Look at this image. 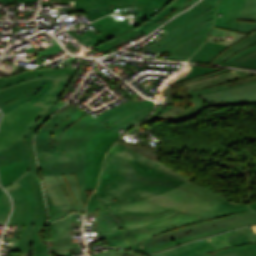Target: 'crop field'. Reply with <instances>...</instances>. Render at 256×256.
<instances>
[{
	"label": "crop field",
	"instance_id": "crop-field-38",
	"mask_svg": "<svg viewBox=\"0 0 256 256\" xmlns=\"http://www.w3.org/2000/svg\"><path fill=\"white\" fill-rule=\"evenodd\" d=\"M53 43L52 45L47 48L46 50H41V51H37L38 52V55L41 56V55H45V54H51V53H55L59 50H62V48L58 45V43L55 41V39H53Z\"/></svg>",
	"mask_w": 256,
	"mask_h": 256
},
{
	"label": "crop field",
	"instance_id": "crop-field-5",
	"mask_svg": "<svg viewBox=\"0 0 256 256\" xmlns=\"http://www.w3.org/2000/svg\"><path fill=\"white\" fill-rule=\"evenodd\" d=\"M217 0H201L190 10L178 15L161 29L167 31L147 49L164 53L184 37L212 26Z\"/></svg>",
	"mask_w": 256,
	"mask_h": 256
},
{
	"label": "crop field",
	"instance_id": "crop-field-50",
	"mask_svg": "<svg viewBox=\"0 0 256 256\" xmlns=\"http://www.w3.org/2000/svg\"><path fill=\"white\" fill-rule=\"evenodd\" d=\"M256 245V244H255Z\"/></svg>",
	"mask_w": 256,
	"mask_h": 256
},
{
	"label": "crop field",
	"instance_id": "crop-field-32",
	"mask_svg": "<svg viewBox=\"0 0 256 256\" xmlns=\"http://www.w3.org/2000/svg\"><path fill=\"white\" fill-rule=\"evenodd\" d=\"M68 12H76V11H84L85 14L88 16V18L92 21L98 17L104 16L106 14L114 12V9H107V10H102V11H97L90 13L89 10H81V9H67Z\"/></svg>",
	"mask_w": 256,
	"mask_h": 256
},
{
	"label": "crop field",
	"instance_id": "crop-field-6",
	"mask_svg": "<svg viewBox=\"0 0 256 256\" xmlns=\"http://www.w3.org/2000/svg\"><path fill=\"white\" fill-rule=\"evenodd\" d=\"M45 112L27 101L4 114L0 125V149L8 148L14 141L24 140L31 127Z\"/></svg>",
	"mask_w": 256,
	"mask_h": 256
},
{
	"label": "crop field",
	"instance_id": "crop-field-30",
	"mask_svg": "<svg viewBox=\"0 0 256 256\" xmlns=\"http://www.w3.org/2000/svg\"><path fill=\"white\" fill-rule=\"evenodd\" d=\"M207 35L208 34H205L186 42L181 47H179L176 51H174L172 54L192 56L195 53V51L199 48V46L203 43Z\"/></svg>",
	"mask_w": 256,
	"mask_h": 256
},
{
	"label": "crop field",
	"instance_id": "crop-field-33",
	"mask_svg": "<svg viewBox=\"0 0 256 256\" xmlns=\"http://www.w3.org/2000/svg\"><path fill=\"white\" fill-rule=\"evenodd\" d=\"M254 51H256V44L236 53L235 55L231 56L226 61H224L221 65L229 64V63L235 61L236 59L241 58V57H243L251 52H254Z\"/></svg>",
	"mask_w": 256,
	"mask_h": 256
},
{
	"label": "crop field",
	"instance_id": "crop-field-34",
	"mask_svg": "<svg viewBox=\"0 0 256 256\" xmlns=\"http://www.w3.org/2000/svg\"><path fill=\"white\" fill-rule=\"evenodd\" d=\"M226 66H234V67H241V68H250V69H256V56L252 57L242 63L233 62Z\"/></svg>",
	"mask_w": 256,
	"mask_h": 256
},
{
	"label": "crop field",
	"instance_id": "crop-field-20",
	"mask_svg": "<svg viewBox=\"0 0 256 256\" xmlns=\"http://www.w3.org/2000/svg\"><path fill=\"white\" fill-rule=\"evenodd\" d=\"M73 75L74 74L56 76L54 79V83L48 90L47 94L34 104L38 105L39 107L47 111L66 89Z\"/></svg>",
	"mask_w": 256,
	"mask_h": 256
},
{
	"label": "crop field",
	"instance_id": "crop-field-46",
	"mask_svg": "<svg viewBox=\"0 0 256 256\" xmlns=\"http://www.w3.org/2000/svg\"><path fill=\"white\" fill-rule=\"evenodd\" d=\"M148 256H165L163 252H160V253H155V254H151V255H148ZM198 256H212L210 253H205V254H201V255H198Z\"/></svg>",
	"mask_w": 256,
	"mask_h": 256
},
{
	"label": "crop field",
	"instance_id": "crop-field-10",
	"mask_svg": "<svg viewBox=\"0 0 256 256\" xmlns=\"http://www.w3.org/2000/svg\"><path fill=\"white\" fill-rule=\"evenodd\" d=\"M45 187L55 205H66L64 211H85L81 201L75 175L41 176Z\"/></svg>",
	"mask_w": 256,
	"mask_h": 256
},
{
	"label": "crop field",
	"instance_id": "crop-field-7",
	"mask_svg": "<svg viewBox=\"0 0 256 256\" xmlns=\"http://www.w3.org/2000/svg\"><path fill=\"white\" fill-rule=\"evenodd\" d=\"M249 227L198 240L164 253L166 256H195L212 250L256 243V234H254L252 228L248 229Z\"/></svg>",
	"mask_w": 256,
	"mask_h": 256
},
{
	"label": "crop field",
	"instance_id": "crop-field-43",
	"mask_svg": "<svg viewBox=\"0 0 256 256\" xmlns=\"http://www.w3.org/2000/svg\"><path fill=\"white\" fill-rule=\"evenodd\" d=\"M17 82H19V80L17 78H13L11 80L4 81V82L0 83V88L17 83Z\"/></svg>",
	"mask_w": 256,
	"mask_h": 256
},
{
	"label": "crop field",
	"instance_id": "crop-field-15",
	"mask_svg": "<svg viewBox=\"0 0 256 256\" xmlns=\"http://www.w3.org/2000/svg\"><path fill=\"white\" fill-rule=\"evenodd\" d=\"M204 106L248 105L256 103V83L200 96Z\"/></svg>",
	"mask_w": 256,
	"mask_h": 256
},
{
	"label": "crop field",
	"instance_id": "crop-field-22",
	"mask_svg": "<svg viewBox=\"0 0 256 256\" xmlns=\"http://www.w3.org/2000/svg\"><path fill=\"white\" fill-rule=\"evenodd\" d=\"M32 152L23 141L14 142L8 149L0 150V165L23 159L30 161Z\"/></svg>",
	"mask_w": 256,
	"mask_h": 256
},
{
	"label": "crop field",
	"instance_id": "crop-field-1",
	"mask_svg": "<svg viewBox=\"0 0 256 256\" xmlns=\"http://www.w3.org/2000/svg\"><path fill=\"white\" fill-rule=\"evenodd\" d=\"M110 208L135 236L143 253L256 224V214L248 206L191 182L146 200Z\"/></svg>",
	"mask_w": 256,
	"mask_h": 256
},
{
	"label": "crop field",
	"instance_id": "crop-field-12",
	"mask_svg": "<svg viewBox=\"0 0 256 256\" xmlns=\"http://www.w3.org/2000/svg\"><path fill=\"white\" fill-rule=\"evenodd\" d=\"M58 109H59V107L53 105L45 113V115L41 119H39L38 122L33 126V128L30 130L28 136L24 140L25 144L33 152L29 169H30V174H31V176L33 178V181H34V187H35L37 203H38L36 219H35V223H34L33 230H32V243L34 245L33 249L46 248L45 245L40 240L37 232L42 229L44 224H47L46 211H45L44 199H43V194H42V188H41V184H40L39 172H38V167H37V163H36V159H35V155H34V150H33V138H34V133H35L36 128L47 117H49L51 114H53Z\"/></svg>",
	"mask_w": 256,
	"mask_h": 256
},
{
	"label": "crop field",
	"instance_id": "crop-field-47",
	"mask_svg": "<svg viewBox=\"0 0 256 256\" xmlns=\"http://www.w3.org/2000/svg\"><path fill=\"white\" fill-rule=\"evenodd\" d=\"M254 55H256V52H254V53H252V54H250V55H248V56H246V57H243V58H241V59H238V60H236V61L241 62V61H243V60H245V59H247V58H249V57H252V56H254Z\"/></svg>",
	"mask_w": 256,
	"mask_h": 256
},
{
	"label": "crop field",
	"instance_id": "crop-field-25",
	"mask_svg": "<svg viewBox=\"0 0 256 256\" xmlns=\"http://www.w3.org/2000/svg\"><path fill=\"white\" fill-rule=\"evenodd\" d=\"M256 43V30L251 33L249 36L239 40L237 43L233 44L230 48L226 49L222 53H220L211 63L218 65L219 63L226 60L231 55L235 54L236 52L251 46Z\"/></svg>",
	"mask_w": 256,
	"mask_h": 256
},
{
	"label": "crop field",
	"instance_id": "crop-field-39",
	"mask_svg": "<svg viewBox=\"0 0 256 256\" xmlns=\"http://www.w3.org/2000/svg\"><path fill=\"white\" fill-rule=\"evenodd\" d=\"M46 196H47V203H48V214H49V218H51L63 206H54V204H53L51 198L49 197V195L46 194Z\"/></svg>",
	"mask_w": 256,
	"mask_h": 256
},
{
	"label": "crop field",
	"instance_id": "crop-field-3",
	"mask_svg": "<svg viewBox=\"0 0 256 256\" xmlns=\"http://www.w3.org/2000/svg\"><path fill=\"white\" fill-rule=\"evenodd\" d=\"M196 1L197 0H122L93 5H75V7L89 9L90 12L114 7L116 11L119 9L121 10L116 13L124 16L129 13L131 8L139 9L140 12L135 14L136 16L134 18L137 20L134 21L133 26L124 23L127 18L114 14L91 23V25L101 33L97 36L91 31L85 34L96 41L103 39L106 42L116 36L126 41L141 32L147 34L156 29L174 14L182 11L185 7L192 5ZM159 10H161V12H159Z\"/></svg>",
	"mask_w": 256,
	"mask_h": 256
},
{
	"label": "crop field",
	"instance_id": "crop-field-17",
	"mask_svg": "<svg viewBox=\"0 0 256 256\" xmlns=\"http://www.w3.org/2000/svg\"><path fill=\"white\" fill-rule=\"evenodd\" d=\"M245 0H220L214 27L238 31ZM218 14H222L219 17Z\"/></svg>",
	"mask_w": 256,
	"mask_h": 256
},
{
	"label": "crop field",
	"instance_id": "crop-field-49",
	"mask_svg": "<svg viewBox=\"0 0 256 256\" xmlns=\"http://www.w3.org/2000/svg\"><path fill=\"white\" fill-rule=\"evenodd\" d=\"M3 193H5L2 189H0V194H3Z\"/></svg>",
	"mask_w": 256,
	"mask_h": 256
},
{
	"label": "crop field",
	"instance_id": "crop-field-44",
	"mask_svg": "<svg viewBox=\"0 0 256 256\" xmlns=\"http://www.w3.org/2000/svg\"><path fill=\"white\" fill-rule=\"evenodd\" d=\"M26 173H27V172H26ZM26 173H25V174H26ZM25 174H24V175H25ZM22 176H23V175H22ZM22 176H21V177H22ZM21 177H20V178H21ZM20 178H19V179H20ZM19 179H18V180H19ZM18 180H16V181H18ZM16 181H14V182H12L11 184L7 185V186L5 187L6 191H10V190H12V189H14V188L20 186V184L17 183Z\"/></svg>",
	"mask_w": 256,
	"mask_h": 256
},
{
	"label": "crop field",
	"instance_id": "crop-field-45",
	"mask_svg": "<svg viewBox=\"0 0 256 256\" xmlns=\"http://www.w3.org/2000/svg\"><path fill=\"white\" fill-rule=\"evenodd\" d=\"M1 1L7 2V3H22V2L35 1V0H1Z\"/></svg>",
	"mask_w": 256,
	"mask_h": 256
},
{
	"label": "crop field",
	"instance_id": "crop-field-26",
	"mask_svg": "<svg viewBox=\"0 0 256 256\" xmlns=\"http://www.w3.org/2000/svg\"><path fill=\"white\" fill-rule=\"evenodd\" d=\"M211 254L213 256H256V248L254 244H249L219 251H213Z\"/></svg>",
	"mask_w": 256,
	"mask_h": 256
},
{
	"label": "crop field",
	"instance_id": "crop-field-41",
	"mask_svg": "<svg viewBox=\"0 0 256 256\" xmlns=\"http://www.w3.org/2000/svg\"><path fill=\"white\" fill-rule=\"evenodd\" d=\"M67 214H68V212L58 211V212L50 219V222L53 221V220H57V219L63 218V217H65Z\"/></svg>",
	"mask_w": 256,
	"mask_h": 256
},
{
	"label": "crop field",
	"instance_id": "crop-field-13",
	"mask_svg": "<svg viewBox=\"0 0 256 256\" xmlns=\"http://www.w3.org/2000/svg\"><path fill=\"white\" fill-rule=\"evenodd\" d=\"M153 108V101L144 100L136 103L130 101L102 113L95 119L116 131L135 118L153 110Z\"/></svg>",
	"mask_w": 256,
	"mask_h": 256
},
{
	"label": "crop field",
	"instance_id": "crop-field-35",
	"mask_svg": "<svg viewBox=\"0 0 256 256\" xmlns=\"http://www.w3.org/2000/svg\"><path fill=\"white\" fill-rule=\"evenodd\" d=\"M121 41H123V40H121L120 38H115V39H113V40H111V41H109V42H107V43H104V44H101V45H98V46H96V48H98V49H100L101 51H103V52H108V51H110V50H112V49H114V45H116V44H118L119 42H121Z\"/></svg>",
	"mask_w": 256,
	"mask_h": 256
},
{
	"label": "crop field",
	"instance_id": "crop-field-29",
	"mask_svg": "<svg viewBox=\"0 0 256 256\" xmlns=\"http://www.w3.org/2000/svg\"><path fill=\"white\" fill-rule=\"evenodd\" d=\"M31 232L23 230L16 252H31V256H47L46 249L31 250Z\"/></svg>",
	"mask_w": 256,
	"mask_h": 256
},
{
	"label": "crop field",
	"instance_id": "crop-field-31",
	"mask_svg": "<svg viewBox=\"0 0 256 256\" xmlns=\"http://www.w3.org/2000/svg\"><path fill=\"white\" fill-rule=\"evenodd\" d=\"M11 207L10 199L6 194L0 195V223H5Z\"/></svg>",
	"mask_w": 256,
	"mask_h": 256
},
{
	"label": "crop field",
	"instance_id": "crop-field-48",
	"mask_svg": "<svg viewBox=\"0 0 256 256\" xmlns=\"http://www.w3.org/2000/svg\"><path fill=\"white\" fill-rule=\"evenodd\" d=\"M249 207L251 208V210L256 209V203L250 204Z\"/></svg>",
	"mask_w": 256,
	"mask_h": 256
},
{
	"label": "crop field",
	"instance_id": "crop-field-11",
	"mask_svg": "<svg viewBox=\"0 0 256 256\" xmlns=\"http://www.w3.org/2000/svg\"><path fill=\"white\" fill-rule=\"evenodd\" d=\"M22 186L9 192L14 207L8 224L25 225L26 230L32 229L37 208L33 181L29 172L18 181Z\"/></svg>",
	"mask_w": 256,
	"mask_h": 256
},
{
	"label": "crop field",
	"instance_id": "crop-field-36",
	"mask_svg": "<svg viewBox=\"0 0 256 256\" xmlns=\"http://www.w3.org/2000/svg\"><path fill=\"white\" fill-rule=\"evenodd\" d=\"M69 1H76L75 4H93V3L105 2L109 0H53V3L69 4Z\"/></svg>",
	"mask_w": 256,
	"mask_h": 256
},
{
	"label": "crop field",
	"instance_id": "crop-field-14",
	"mask_svg": "<svg viewBox=\"0 0 256 256\" xmlns=\"http://www.w3.org/2000/svg\"><path fill=\"white\" fill-rule=\"evenodd\" d=\"M255 82L256 81L237 85V86H242V85L251 84ZM237 86L227 87L226 84H223V85H218V86H213L209 88L187 92L193 98V104L191 107L185 109L175 105H166L163 108V110L154 119L171 122V123L186 121L188 119L195 117L197 114H199L203 110L202 99L198 95L219 91V90H224L228 88H233Z\"/></svg>",
	"mask_w": 256,
	"mask_h": 256
},
{
	"label": "crop field",
	"instance_id": "crop-field-23",
	"mask_svg": "<svg viewBox=\"0 0 256 256\" xmlns=\"http://www.w3.org/2000/svg\"><path fill=\"white\" fill-rule=\"evenodd\" d=\"M29 163L23 164L22 160L13 162L10 164L0 166V182L4 187L12 181L19 178L22 174H24L29 167Z\"/></svg>",
	"mask_w": 256,
	"mask_h": 256
},
{
	"label": "crop field",
	"instance_id": "crop-field-16",
	"mask_svg": "<svg viewBox=\"0 0 256 256\" xmlns=\"http://www.w3.org/2000/svg\"><path fill=\"white\" fill-rule=\"evenodd\" d=\"M87 211L99 214L97 227L100 240L106 239L109 246L130 249L126 238L97 198L88 205Z\"/></svg>",
	"mask_w": 256,
	"mask_h": 256
},
{
	"label": "crop field",
	"instance_id": "crop-field-4",
	"mask_svg": "<svg viewBox=\"0 0 256 256\" xmlns=\"http://www.w3.org/2000/svg\"><path fill=\"white\" fill-rule=\"evenodd\" d=\"M106 128L89 115L67 128L59 141L58 152L36 153L41 175L76 174L81 197L87 198L83 182V150L86 141L96 132Z\"/></svg>",
	"mask_w": 256,
	"mask_h": 256
},
{
	"label": "crop field",
	"instance_id": "crop-field-24",
	"mask_svg": "<svg viewBox=\"0 0 256 256\" xmlns=\"http://www.w3.org/2000/svg\"><path fill=\"white\" fill-rule=\"evenodd\" d=\"M256 29V0H246L239 32L250 34Z\"/></svg>",
	"mask_w": 256,
	"mask_h": 256
},
{
	"label": "crop field",
	"instance_id": "crop-field-8",
	"mask_svg": "<svg viewBox=\"0 0 256 256\" xmlns=\"http://www.w3.org/2000/svg\"><path fill=\"white\" fill-rule=\"evenodd\" d=\"M84 114V111L69 103L57 111L38 130L35 138L36 152L57 151L62 132Z\"/></svg>",
	"mask_w": 256,
	"mask_h": 256
},
{
	"label": "crop field",
	"instance_id": "crop-field-19",
	"mask_svg": "<svg viewBox=\"0 0 256 256\" xmlns=\"http://www.w3.org/2000/svg\"><path fill=\"white\" fill-rule=\"evenodd\" d=\"M71 215L67 218L49 224L52 238L51 250L72 249L70 234Z\"/></svg>",
	"mask_w": 256,
	"mask_h": 256
},
{
	"label": "crop field",
	"instance_id": "crop-field-28",
	"mask_svg": "<svg viewBox=\"0 0 256 256\" xmlns=\"http://www.w3.org/2000/svg\"><path fill=\"white\" fill-rule=\"evenodd\" d=\"M97 198L103 203L105 209L109 212V214L112 216L114 221L118 224V226L121 229V231L123 232L124 236L129 241L131 249L135 250V251H138V252H141L136 239L129 232L128 228L125 226V224L122 222V220L109 208L108 205L105 204V202L99 196Z\"/></svg>",
	"mask_w": 256,
	"mask_h": 256
},
{
	"label": "crop field",
	"instance_id": "crop-field-42",
	"mask_svg": "<svg viewBox=\"0 0 256 256\" xmlns=\"http://www.w3.org/2000/svg\"><path fill=\"white\" fill-rule=\"evenodd\" d=\"M190 57H183V56H174L171 54V56L167 59V60H176V61H184V62H187V60L189 59Z\"/></svg>",
	"mask_w": 256,
	"mask_h": 256
},
{
	"label": "crop field",
	"instance_id": "crop-field-40",
	"mask_svg": "<svg viewBox=\"0 0 256 256\" xmlns=\"http://www.w3.org/2000/svg\"><path fill=\"white\" fill-rule=\"evenodd\" d=\"M54 77H55V76H52V77H37V78H32V79H28V80L19 82V83H17V84L12 85V86H16V85H19V84H22V83H26V82H29V81H31V80H37V79H52V80H53ZM12 86H8V87H5V88H3V89H0V91H1V90H4V89H6V88L12 87Z\"/></svg>",
	"mask_w": 256,
	"mask_h": 256
},
{
	"label": "crop field",
	"instance_id": "crop-field-21",
	"mask_svg": "<svg viewBox=\"0 0 256 256\" xmlns=\"http://www.w3.org/2000/svg\"><path fill=\"white\" fill-rule=\"evenodd\" d=\"M38 81H31L16 87L9 88L0 92V109L4 108L26 96L36 89Z\"/></svg>",
	"mask_w": 256,
	"mask_h": 256
},
{
	"label": "crop field",
	"instance_id": "crop-field-27",
	"mask_svg": "<svg viewBox=\"0 0 256 256\" xmlns=\"http://www.w3.org/2000/svg\"><path fill=\"white\" fill-rule=\"evenodd\" d=\"M52 83H53V81H51V80H41L38 88L35 91H33L27 98L2 109L3 113L8 112L9 110L15 108L16 106L20 105L21 103H23L27 100H30L33 103L36 102L38 99H40L46 93V91L52 85Z\"/></svg>",
	"mask_w": 256,
	"mask_h": 256
},
{
	"label": "crop field",
	"instance_id": "crop-field-2",
	"mask_svg": "<svg viewBox=\"0 0 256 256\" xmlns=\"http://www.w3.org/2000/svg\"><path fill=\"white\" fill-rule=\"evenodd\" d=\"M190 178L118 143L109 151L97 190L108 205L133 202L168 191ZM88 203V204H89Z\"/></svg>",
	"mask_w": 256,
	"mask_h": 256
},
{
	"label": "crop field",
	"instance_id": "crop-field-9",
	"mask_svg": "<svg viewBox=\"0 0 256 256\" xmlns=\"http://www.w3.org/2000/svg\"><path fill=\"white\" fill-rule=\"evenodd\" d=\"M120 134L106 128L94 134L84 151V181L86 190L94 189L106 152Z\"/></svg>",
	"mask_w": 256,
	"mask_h": 256
},
{
	"label": "crop field",
	"instance_id": "crop-field-37",
	"mask_svg": "<svg viewBox=\"0 0 256 256\" xmlns=\"http://www.w3.org/2000/svg\"><path fill=\"white\" fill-rule=\"evenodd\" d=\"M210 30V28L204 30V31H201V32H197L181 41H179L177 44H175L173 47H171L168 52L172 53L174 50H176L180 45H182L184 42H186L187 40L191 39V38H194V37H197L199 35H202V34H205V33H208Z\"/></svg>",
	"mask_w": 256,
	"mask_h": 256
},
{
	"label": "crop field",
	"instance_id": "crop-field-18",
	"mask_svg": "<svg viewBox=\"0 0 256 256\" xmlns=\"http://www.w3.org/2000/svg\"><path fill=\"white\" fill-rule=\"evenodd\" d=\"M221 68L201 67L186 65L185 68L170 80L166 81L158 94L157 105L173 104L170 85L190 79L192 77L220 70Z\"/></svg>",
	"mask_w": 256,
	"mask_h": 256
}]
</instances>
